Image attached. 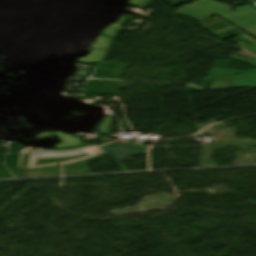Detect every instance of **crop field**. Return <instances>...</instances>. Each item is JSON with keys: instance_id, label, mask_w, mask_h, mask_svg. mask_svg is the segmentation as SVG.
I'll return each instance as SVG.
<instances>
[{"instance_id": "2", "label": "crop field", "mask_w": 256, "mask_h": 256, "mask_svg": "<svg viewBox=\"0 0 256 256\" xmlns=\"http://www.w3.org/2000/svg\"><path fill=\"white\" fill-rule=\"evenodd\" d=\"M103 150L104 152L101 155H97L87 160L75 162L69 165H64V175L91 174L85 163L106 155H108L123 172H126L128 170L120 161L129 160L131 159L130 156L147 154L146 147H133V145L124 144H108L103 147Z\"/></svg>"}, {"instance_id": "3", "label": "crop field", "mask_w": 256, "mask_h": 256, "mask_svg": "<svg viewBox=\"0 0 256 256\" xmlns=\"http://www.w3.org/2000/svg\"><path fill=\"white\" fill-rule=\"evenodd\" d=\"M237 70L213 69L205 80L214 81L211 88H236L256 86V74L235 75Z\"/></svg>"}, {"instance_id": "5", "label": "crop field", "mask_w": 256, "mask_h": 256, "mask_svg": "<svg viewBox=\"0 0 256 256\" xmlns=\"http://www.w3.org/2000/svg\"><path fill=\"white\" fill-rule=\"evenodd\" d=\"M102 145H104V144H102ZM102 145H99V147L102 146Z\"/></svg>"}, {"instance_id": "4", "label": "crop field", "mask_w": 256, "mask_h": 256, "mask_svg": "<svg viewBox=\"0 0 256 256\" xmlns=\"http://www.w3.org/2000/svg\"><path fill=\"white\" fill-rule=\"evenodd\" d=\"M61 175L60 167L49 166V167H39L32 169H23L18 167L17 178L21 177H36V176H53Z\"/></svg>"}, {"instance_id": "1", "label": "crop field", "mask_w": 256, "mask_h": 256, "mask_svg": "<svg viewBox=\"0 0 256 256\" xmlns=\"http://www.w3.org/2000/svg\"><path fill=\"white\" fill-rule=\"evenodd\" d=\"M231 8V6L213 1L201 0L193 6H184L176 14L198 20H203L216 14L256 38V10L245 5L238 8L235 13L227 11Z\"/></svg>"}]
</instances>
